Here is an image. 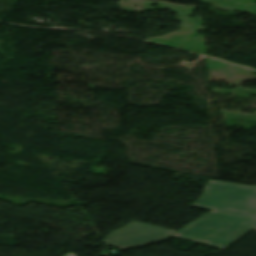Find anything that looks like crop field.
Listing matches in <instances>:
<instances>
[{
	"mask_svg": "<svg viewBox=\"0 0 256 256\" xmlns=\"http://www.w3.org/2000/svg\"><path fill=\"white\" fill-rule=\"evenodd\" d=\"M255 226V220L212 212L173 236L223 249Z\"/></svg>",
	"mask_w": 256,
	"mask_h": 256,
	"instance_id": "1",
	"label": "crop field"
},
{
	"mask_svg": "<svg viewBox=\"0 0 256 256\" xmlns=\"http://www.w3.org/2000/svg\"><path fill=\"white\" fill-rule=\"evenodd\" d=\"M175 231L134 222L112 234L104 242L120 250L164 240Z\"/></svg>",
	"mask_w": 256,
	"mask_h": 256,
	"instance_id": "3",
	"label": "crop field"
},
{
	"mask_svg": "<svg viewBox=\"0 0 256 256\" xmlns=\"http://www.w3.org/2000/svg\"><path fill=\"white\" fill-rule=\"evenodd\" d=\"M194 206L256 220V186L210 181Z\"/></svg>",
	"mask_w": 256,
	"mask_h": 256,
	"instance_id": "2",
	"label": "crop field"
}]
</instances>
